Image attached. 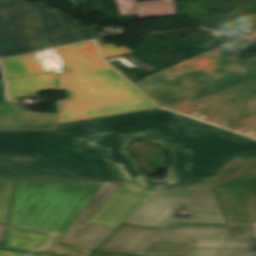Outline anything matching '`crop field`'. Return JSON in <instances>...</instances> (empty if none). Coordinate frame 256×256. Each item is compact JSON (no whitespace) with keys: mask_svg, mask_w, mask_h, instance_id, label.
Masks as SVG:
<instances>
[{"mask_svg":"<svg viewBox=\"0 0 256 256\" xmlns=\"http://www.w3.org/2000/svg\"><path fill=\"white\" fill-rule=\"evenodd\" d=\"M87 122L96 140L150 134L221 167L233 158H256V140L162 109ZM0 176L119 180L85 121L57 131L0 132Z\"/></svg>","mask_w":256,"mask_h":256,"instance_id":"crop-field-1","label":"crop field"},{"mask_svg":"<svg viewBox=\"0 0 256 256\" xmlns=\"http://www.w3.org/2000/svg\"><path fill=\"white\" fill-rule=\"evenodd\" d=\"M236 53L228 44L135 86L164 108L256 138V58L206 68Z\"/></svg>","mask_w":256,"mask_h":256,"instance_id":"crop-field-2","label":"crop field"},{"mask_svg":"<svg viewBox=\"0 0 256 256\" xmlns=\"http://www.w3.org/2000/svg\"><path fill=\"white\" fill-rule=\"evenodd\" d=\"M69 72L43 73L35 54L3 59L10 99L36 98L37 92L67 90L68 99L58 101V123L155 108L145 96L108 66L94 42L55 48ZM6 77V78H7Z\"/></svg>","mask_w":256,"mask_h":256,"instance_id":"crop-field-3","label":"crop field"},{"mask_svg":"<svg viewBox=\"0 0 256 256\" xmlns=\"http://www.w3.org/2000/svg\"><path fill=\"white\" fill-rule=\"evenodd\" d=\"M229 226L173 224L157 238L192 242L184 256H243L255 252L256 173L215 188Z\"/></svg>","mask_w":256,"mask_h":256,"instance_id":"crop-field-4","label":"crop field"},{"mask_svg":"<svg viewBox=\"0 0 256 256\" xmlns=\"http://www.w3.org/2000/svg\"><path fill=\"white\" fill-rule=\"evenodd\" d=\"M102 183L18 179L9 225L52 232L57 243Z\"/></svg>","mask_w":256,"mask_h":256,"instance_id":"crop-field-5","label":"crop field"},{"mask_svg":"<svg viewBox=\"0 0 256 256\" xmlns=\"http://www.w3.org/2000/svg\"><path fill=\"white\" fill-rule=\"evenodd\" d=\"M145 139L165 147L172 160L168 181L155 182L147 177L135 159L125 149L133 140ZM104 154L113 163L121 181L154 191L189 187L206 177H215L221 167L182 150L161 138L150 135L127 136L98 141Z\"/></svg>","mask_w":256,"mask_h":256,"instance_id":"crop-field-6","label":"crop field"},{"mask_svg":"<svg viewBox=\"0 0 256 256\" xmlns=\"http://www.w3.org/2000/svg\"><path fill=\"white\" fill-rule=\"evenodd\" d=\"M19 7L25 17L33 21L41 47L1 51L0 57L26 54L51 46L98 38L94 31L80 34L75 27L78 21L43 3L22 4Z\"/></svg>","mask_w":256,"mask_h":256,"instance_id":"crop-field-7","label":"crop field"},{"mask_svg":"<svg viewBox=\"0 0 256 256\" xmlns=\"http://www.w3.org/2000/svg\"><path fill=\"white\" fill-rule=\"evenodd\" d=\"M213 179L206 178L189 188L154 192L125 223L165 228L178 215L173 212L186 207Z\"/></svg>","mask_w":256,"mask_h":256,"instance_id":"crop-field-8","label":"crop field"},{"mask_svg":"<svg viewBox=\"0 0 256 256\" xmlns=\"http://www.w3.org/2000/svg\"><path fill=\"white\" fill-rule=\"evenodd\" d=\"M153 192L123 182L90 223L118 228Z\"/></svg>","mask_w":256,"mask_h":256,"instance_id":"crop-field-9","label":"crop field"},{"mask_svg":"<svg viewBox=\"0 0 256 256\" xmlns=\"http://www.w3.org/2000/svg\"><path fill=\"white\" fill-rule=\"evenodd\" d=\"M40 46L32 21L17 5L0 7V50Z\"/></svg>","mask_w":256,"mask_h":256,"instance_id":"crop-field-10","label":"crop field"},{"mask_svg":"<svg viewBox=\"0 0 256 256\" xmlns=\"http://www.w3.org/2000/svg\"><path fill=\"white\" fill-rule=\"evenodd\" d=\"M20 102H8L4 81L0 82V130L55 129L56 114L25 111Z\"/></svg>","mask_w":256,"mask_h":256,"instance_id":"crop-field-11","label":"crop field"},{"mask_svg":"<svg viewBox=\"0 0 256 256\" xmlns=\"http://www.w3.org/2000/svg\"><path fill=\"white\" fill-rule=\"evenodd\" d=\"M162 231L123 224L98 250L138 253Z\"/></svg>","mask_w":256,"mask_h":256,"instance_id":"crop-field-12","label":"crop field"},{"mask_svg":"<svg viewBox=\"0 0 256 256\" xmlns=\"http://www.w3.org/2000/svg\"><path fill=\"white\" fill-rule=\"evenodd\" d=\"M253 171H256V160L243 161L233 159L220 170L218 177L189 205L219 207L212 187Z\"/></svg>","mask_w":256,"mask_h":256,"instance_id":"crop-field-13","label":"crop field"},{"mask_svg":"<svg viewBox=\"0 0 256 256\" xmlns=\"http://www.w3.org/2000/svg\"><path fill=\"white\" fill-rule=\"evenodd\" d=\"M115 230L100 225L74 223L59 244L95 250Z\"/></svg>","mask_w":256,"mask_h":256,"instance_id":"crop-field-14","label":"crop field"},{"mask_svg":"<svg viewBox=\"0 0 256 256\" xmlns=\"http://www.w3.org/2000/svg\"><path fill=\"white\" fill-rule=\"evenodd\" d=\"M121 15L139 14L138 19L175 15L174 0H116Z\"/></svg>","mask_w":256,"mask_h":256,"instance_id":"crop-field-15","label":"crop field"},{"mask_svg":"<svg viewBox=\"0 0 256 256\" xmlns=\"http://www.w3.org/2000/svg\"><path fill=\"white\" fill-rule=\"evenodd\" d=\"M50 235L48 233L29 232L8 227L4 248L31 252L45 243Z\"/></svg>","mask_w":256,"mask_h":256,"instance_id":"crop-field-16","label":"crop field"},{"mask_svg":"<svg viewBox=\"0 0 256 256\" xmlns=\"http://www.w3.org/2000/svg\"><path fill=\"white\" fill-rule=\"evenodd\" d=\"M120 184L121 182L105 181L76 221L89 223V221L98 212L105 201L116 191Z\"/></svg>","mask_w":256,"mask_h":256,"instance_id":"crop-field-17","label":"crop field"},{"mask_svg":"<svg viewBox=\"0 0 256 256\" xmlns=\"http://www.w3.org/2000/svg\"><path fill=\"white\" fill-rule=\"evenodd\" d=\"M188 218H177L174 222L226 224L220 208L188 206Z\"/></svg>","mask_w":256,"mask_h":256,"instance_id":"crop-field-18","label":"crop field"},{"mask_svg":"<svg viewBox=\"0 0 256 256\" xmlns=\"http://www.w3.org/2000/svg\"><path fill=\"white\" fill-rule=\"evenodd\" d=\"M190 243L154 240L142 253L184 255Z\"/></svg>","mask_w":256,"mask_h":256,"instance_id":"crop-field-19","label":"crop field"},{"mask_svg":"<svg viewBox=\"0 0 256 256\" xmlns=\"http://www.w3.org/2000/svg\"><path fill=\"white\" fill-rule=\"evenodd\" d=\"M15 179L0 178V223L6 224Z\"/></svg>","mask_w":256,"mask_h":256,"instance_id":"crop-field-20","label":"crop field"},{"mask_svg":"<svg viewBox=\"0 0 256 256\" xmlns=\"http://www.w3.org/2000/svg\"><path fill=\"white\" fill-rule=\"evenodd\" d=\"M36 253H44L59 256H89L92 252L72 249L64 246L47 244L36 251Z\"/></svg>","mask_w":256,"mask_h":256,"instance_id":"crop-field-21","label":"crop field"},{"mask_svg":"<svg viewBox=\"0 0 256 256\" xmlns=\"http://www.w3.org/2000/svg\"><path fill=\"white\" fill-rule=\"evenodd\" d=\"M96 42L105 59L132 52L126 46L116 48L112 44L101 46L98 40Z\"/></svg>","mask_w":256,"mask_h":256,"instance_id":"crop-field-22","label":"crop field"},{"mask_svg":"<svg viewBox=\"0 0 256 256\" xmlns=\"http://www.w3.org/2000/svg\"><path fill=\"white\" fill-rule=\"evenodd\" d=\"M91 256H148V255L120 254V253H110V252H94Z\"/></svg>","mask_w":256,"mask_h":256,"instance_id":"crop-field-23","label":"crop field"},{"mask_svg":"<svg viewBox=\"0 0 256 256\" xmlns=\"http://www.w3.org/2000/svg\"><path fill=\"white\" fill-rule=\"evenodd\" d=\"M27 253L0 250V256H26Z\"/></svg>","mask_w":256,"mask_h":256,"instance_id":"crop-field-24","label":"crop field"},{"mask_svg":"<svg viewBox=\"0 0 256 256\" xmlns=\"http://www.w3.org/2000/svg\"><path fill=\"white\" fill-rule=\"evenodd\" d=\"M26 3L25 0H0V6L12 5V4H22Z\"/></svg>","mask_w":256,"mask_h":256,"instance_id":"crop-field-25","label":"crop field"},{"mask_svg":"<svg viewBox=\"0 0 256 256\" xmlns=\"http://www.w3.org/2000/svg\"><path fill=\"white\" fill-rule=\"evenodd\" d=\"M4 229H5L4 226H0V246H1L2 238H3Z\"/></svg>","mask_w":256,"mask_h":256,"instance_id":"crop-field-26","label":"crop field"},{"mask_svg":"<svg viewBox=\"0 0 256 256\" xmlns=\"http://www.w3.org/2000/svg\"><path fill=\"white\" fill-rule=\"evenodd\" d=\"M30 256H46V255H37V254H32Z\"/></svg>","mask_w":256,"mask_h":256,"instance_id":"crop-field-27","label":"crop field"},{"mask_svg":"<svg viewBox=\"0 0 256 256\" xmlns=\"http://www.w3.org/2000/svg\"><path fill=\"white\" fill-rule=\"evenodd\" d=\"M1 79H3V78H2V74H1V70H0V80H1Z\"/></svg>","mask_w":256,"mask_h":256,"instance_id":"crop-field-28","label":"crop field"}]
</instances>
